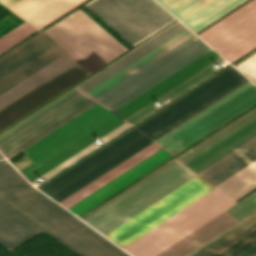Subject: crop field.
Masks as SVG:
<instances>
[{
  "label": "crop field",
  "mask_w": 256,
  "mask_h": 256,
  "mask_svg": "<svg viewBox=\"0 0 256 256\" xmlns=\"http://www.w3.org/2000/svg\"><path fill=\"white\" fill-rule=\"evenodd\" d=\"M255 134L256 110L176 161L195 173ZM254 159L256 135L196 174L214 186ZM185 167L173 162L83 221L106 234L195 175ZM197 175L104 236L123 248L214 187L238 200L256 188V160L214 187ZM217 189L123 249L133 256H155L237 203Z\"/></svg>",
  "instance_id": "8a807250"
},
{
  "label": "crop field",
  "mask_w": 256,
  "mask_h": 256,
  "mask_svg": "<svg viewBox=\"0 0 256 256\" xmlns=\"http://www.w3.org/2000/svg\"><path fill=\"white\" fill-rule=\"evenodd\" d=\"M255 210L256 192L225 212L239 221ZM225 212L207 224L203 225L193 233L189 234L179 242L175 243L165 251L161 252L157 256H185L225 229L238 222Z\"/></svg>",
  "instance_id": "5a996713"
},
{
  "label": "crop field",
  "mask_w": 256,
  "mask_h": 256,
  "mask_svg": "<svg viewBox=\"0 0 256 256\" xmlns=\"http://www.w3.org/2000/svg\"><path fill=\"white\" fill-rule=\"evenodd\" d=\"M195 34L246 0H156Z\"/></svg>",
  "instance_id": "3316defc"
},
{
  "label": "crop field",
  "mask_w": 256,
  "mask_h": 256,
  "mask_svg": "<svg viewBox=\"0 0 256 256\" xmlns=\"http://www.w3.org/2000/svg\"><path fill=\"white\" fill-rule=\"evenodd\" d=\"M3 158L1 155H0V159Z\"/></svg>",
  "instance_id": "bc2a9ffb"
},
{
  "label": "crop field",
  "mask_w": 256,
  "mask_h": 256,
  "mask_svg": "<svg viewBox=\"0 0 256 256\" xmlns=\"http://www.w3.org/2000/svg\"><path fill=\"white\" fill-rule=\"evenodd\" d=\"M82 1L84 0H21L8 9L39 29Z\"/></svg>",
  "instance_id": "28ad6ade"
},
{
  "label": "crop field",
  "mask_w": 256,
  "mask_h": 256,
  "mask_svg": "<svg viewBox=\"0 0 256 256\" xmlns=\"http://www.w3.org/2000/svg\"><path fill=\"white\" fill-rule=\"evenodd\" d=\"M42 232L80 256H130L1 162L0 245L11 251Z\"/></svg>",
  "instance_id": "f4fd0767"
},
{
  "label": "crop field",
  "mask_w": 256,
  "mask_h": 256,
  "mask_svg": "<svg viewBox=\"0 0 256 256\" xmlns=\"http://www.w3.org/2000/svg\"><path fill=\"white\" fill-rule=\"evenodd\" d=\"M43 32L91 72L126 51L79 9ZM43 32L0 58V95L67 53ZM68 53L0 96V130L91 73Z\"/></svg>",
  "instance_id": "412701ff"
},
{
  "label": "crop field",
  "mask_w": 256,
  "mask_h": 256,
  "mask_svg": "<svg viewBox=\"0 0 256 256\" xmlns=\"http://www.w3.org/2000/svg\"><path fill=\"white\" fill-rule=\"evenodd\" d=\"M247 81L229 67L39 189L60 201ZM255 102L256 86L249 81L155 143L174 155ZM156 144L146 146L58 203L76 213L168 153ZM170 153L75 215L82 214L158 166L173 156Z\"/></svg>",
  "instance_id": "ac0d7876"
},
{
  "label": "crop field",
  "mask_w": 256,
  "mask_h": 256,
  "mask_svg": "<svg viewBox=\"0 0 256 256\" xmlns=\"http://www.w3.org/2000/svg\"><path fill=\"white\" fill-rule=\"evenodd\" d=\"M87 7L132 46L175 19L154 0H94Z\"/></svg>",
  "instance_id": "e52e79f7"
},
{
  "label": "crop field",
  "mask_w": 256,
  "mask_h": 256,
  "mask_svg": "<svg viewBox=\"0 0 256 256\" xmlns=\"http://www.w3.org/2000/svg\"><path fill=\"white\" fill-rule=\"evenodd\" d=\"M35 31L37 30H35L29 24H22L21 26L0 39V54L26 38L30 34L34 33Z\"/></svg>",
  "instance_id": "d1516ede"
},
{
  "label": "crop field",
  "mask_w": 256,
  "mask_h": 256,
  "mask_svg": "<svg viewBox=\"0 0 256 256\" xmlns=\"http://www.w3.org/2000/svg\"><path fill=\"white\" fill-rule=\"evenodd\" d=\"M235 68L256 84V54L235 66Z\"/></svg>",
  "instance_id": "cbeb9de0"
},
{
  "label": "crop field",
  "mask_w": 256,
  "mask_h": 256,
  "mask_svg": "<svg viewBox=\"0 0 256 256\" xmlns=\"http://www.w3.org/2000/svg\"><path fill=\"white\" fill-rule=\"evenodd\" d=\"M130 126L99 102L22 151L36 162L20 173L31 184L47 180L95 150L90 146L98 140L106 142Z\"/></svg>",
  "instance_id": "dd49c442"
},
{
  "label": "crop field",
  "mask_w": 256,
  "mask_h": 256,
  "mask_svg": "<svg viewBox=\"0 0 256 256\" xmlns=\"http://www.w3.org/2000/svg\"><path fill=\"white\" fill-rule=\"evenodd\" d=\"M219 256H256V232Z\"/></svg>",
  "instance_id": "22f410ed"
},
{
  "label": "crop field",
  "mask_w": 256,
  "mask_h": 256,
  "mask_svg": "<svg viewBox=\"0 0 256 256\" xmlns=\"http://www.w3.org/2000/svg\"><path fill=\"white\" fill-rule=\"evenodd\" d=\"M230 63L256 47V0L198 35Z\"/></svg>",
  "instance_id": "d8731c3e"
},
{
  "label": "crop field",
  "mask_w": 256,
  "mask_h": 256,
  "mask_svg": "<svg viewBox=\"0 0 256 256\" xmlns=\"http://www.w3.org/2000/svg\"><path fill=\"white\" fill-rule=\"evenodd\" d=\"M185 29L187 28L180 22L176 23L78 87L86 93L89 92ZM192 35L194 34L188 29L185 30L87 94L77 87L74 88L0 136V152L8 160L12 159L25 148L99 101L112 111H117L212 50L195 35ZM222 60L224 59L212 50L115 113L133 125L155 111L158 108L155 106L156 103L167 98L170 100L175 98L218 71L213 66ZM95 97L99 101L95 100Z\"/></svg>",
  "instance_id": "34b2d1b8"
},
{
  "label": "crop field",
  "mask_w": 256,
  "mask_h": 256,
  "mask_svg": "<svg viewBox=\"0 0 256 256\" xmlns=\"http://www.w3.org/2000/svg\"><path fill=\"white\" fill-rule=\"evenodd\" d=\"M19 0H0V3L3 4L5 7H10L11 5L15 4Z\"/></svg>",
  "instance_id": "733c2abd"
},
{
  "label": "crop field",
  "mask_w": 256,
  "mask_h": 256,
  "mask_svg": "<svg viewBox=\"0 0 256 256\" xmlns=\"http://www.w3.org/2000/svg\"><path fill=\"white\" fill-rule=\"evenodd\" d=\"M241 232H243V231H241L237 228L234 229L233 231H231L227 235L223 236L222 238H220L219 240H217L216 242H214L213 244H211L210 246H208L207 248H205L204 250H202L201 252L197 253L194 256H206L207 254H209L210 252H212L213 250H215L219 246L223 245L224 243H226L227 241H229L233 237L237 236Z\"/></svg>",
  "instance_id": "5142ce71"
},
{
  "label": "crop field",
  "mask_w": 256,
  "mask_h": 256,
  "mask_svg": "<svg viewBox=\"0 0 256 256\" xmlns=\"http://www.w3.org/2000/svg\"><path fill=\"white\" fill-rule=\"evenodd\" d=\"M256 52V51H255ZM255 52H253L252 54H254ZM252 54H250L249 56H251ZM249 56H247L246 58H248ZM246 58H244L243 60H245ZM243 60H241V61H243ZM241 61H239L238 63H240ZM238 63H236L235 65H237ZM235 65H233V66H235ZM239 65V64H238Z\"/></svg>",
  "instance_id": "4a817a6b"
},
{
  "label": "crop field",
  "mask_w": 256,
  "mask_h": 256,
  "mask_svg": "<svg viewBox=\"0 0 256 256\" xmlns=\"http://www.w3.org/2000/svg\"><path fill=\"white\" fill-rule=\"evenodd\" d=\"M255 231H256V225L252 226L251 228H249L245 232L241 233L240 235H238L237 237H235L231 241L227 242L226 244H224L223 246H221L220 248L213 251L212 253H210L207 256H218L219 254H221L222 252H224L228 248L232 247L233 245H235L236 243H238L239 241H241L242 239L249 236L250 234H252Z\"/></svg>",
  "instance_id": "d9b57169"
}]
</instances>
